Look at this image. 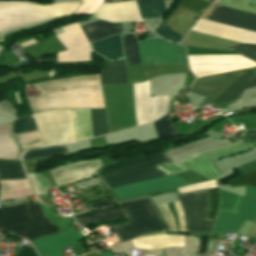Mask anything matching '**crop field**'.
<instances>
[{
  "instance_id": "6",
  "label": "crop field",
  "mask_w": 256,
  "mask_h": 256,
  "mask_svg": "<svg viewBox=\"0 0 256 256\" xmlns=\"http://www.w3.org/2000/svg\"><path fill=\"white\" fill-rule=\"evenodd\" d=\"M79 4L34 5L23 2H0V33L38 20L71 14Z\"/></svg>"
},
{
  "instance_id": "34",
  "label": "crop field",
  "mask_w": 256,
  "mask_h": 256,
  "mask_svg": "<svg viewBox=\"0 0 256 256\" xmlns=\"http://www.w3.org/2000/svg\"><path fill=\"white\" fill-rule=\"evenodd\" d=\"M115 203H117V201L115 199H110L105 202H100V203H95V204L89 205V207L90 208H99V207L114 205Z\"/></svg>"
},
{
  "instance_id": "20",
  "label": "crop field",
  "mask_w": 256,
  "mask_h": 256,
  "mask_svg": "<svg viewBox=\"0 0 256 256\" xmlns=\"http://www.w3.org/2000/svg\"><path fill=\"white\" fill-rule=\"evenodd\" d=\"M141 18L160 17L165 11L164 1L137 2Z\"/></svg>"
},
{
  "instance_id": "18",
  "label": "crop field",
  "mask_w": 256,
  "mask_h": 256,
  "mask_svg": "<svg viewBox=\"0 0 256 256\" xmlns=\"http://www.w3.org/2000/svg\"><path fill=\"white\" fill-rule=\"evenodd\" d=\"M255 86H256V76L253 70L251 69L247 73L243 74L239 80L233 83L225 91V93L221 97H219L216 101L239 98L240 94L244 89L255 87Z\"/></svg>"
},
{
  "instance_id": "35",
  "label": "crop field",
  "mask_w": 256,
  "mask_h": 256,
  "mask_svg": "<svg viewBox=\"0 0 256 256\" xmlns=\"http://www.w3.org/2000/svg\"><path fill=\"white\" fill-rule=\"evenodd\" d=\"M245 197L256 201V188H246Z\"/></svg>"
},
{
  "instance_id": "15",
  "label": "crop field",
  "mask_w": 256,
  "mask_h": 256,
  "mask_svg": "<svg viewBox=\"0 0 256 256\" xmlns=\"http://www.w3.org/2000/svg\"><path fill=\"white\" fill-rule=\"evenodd\" d=\"M81 28L89 42L106 36L123 33L121 24H111L102 20L82 26Z\"/></svg>"
},
{
  "instance_id": "33",
  "label": "crop field",
  "mask_w": 256,
  "mask_h": 256,
  "mask_svg": "<svg viewBox=\"0 0 256 256\" xmlns=\"http://www.w3.org/2000/svg\"><path fill=\"white\" fill-rule=\"evenodd\" d=\"M244 139L256 144V130H249L243 136Z\"/></svg>"
},
{
  "instance_id": "38",
  "label": "crop field",
  "mask_w": 256,
  "mask_h": 256,
  "mask_svg": "<svg viewBox=\"0 0 256 256\" xmlns=\"http://www.w3.org/2000/svg\"><path fill=\"white\" fill-rule=\"evenodd\" d=\"M137 1H143V0H137Z\"/></svg>"
},
{
  "instance_id": "27",
  "label": "crop field",
  "mask_w": 256,
  "mask_h": 256,
  "mask_svg": "<svg viewBox=\"0 0 256 256\" xmlns=\"http://www.w3.org/2000/svg\"><path fill=\"white\" fill-rule=\"evenodd\" d=\"M156 33H158L160 36L174 41L179 42L182 39V35L174 32L172 29H170L166 24L165 21H162L161 24L156 28Z\"/></svg>"
},
{
  "instance_id": "21",
  "label": "crop field",
  "mask_w": 256,
  "mask_h": 256,
  "mask_svg": "<svg viewBox=\"0 0 256 256\" xmlns=\"http://www.w3.org/2000/svg\"><path fill=\"white\" fill-rule=\"evenodd\" d=\"M26 178L21 164L0 162V180Z\"/></svg>"
},
{
  "instance_id": "13",
  "label": "crop field",
  "mask_w": 256,
  "mask_h": 256,
  "mask_svg": "<svg viewBox=\"0 0 256 256\" xmlns=\"http://www.w3.org/2000/svg\"><path fill=\"white\" fill-rule=\"evenodd\" d=\"M237 78L229 73L202 77L197 79L195 84L193 83L190 91L203 96L221 93Z\"/></svg>"
},
{
  "instance_id": "3",
  "label": "crop field",
  "mask_w": 256,
  "mask_h": 256,
  "mask_svg": "<svg viewBox=\"0 0 256 256\" xmlns=\"http://www.w3.org/2000/svg\"><path fill=\"white\" fill-rule=\"evenodd\" d=\"M121 208L96 211L76 216L83 226L126 216L129 224L113 226L121 242L158 231H166L159 213L148 197L122 202Z\"/></svg>"
},
{
  "instance_id": "26",
  "label": "crop field",
  "mask_w": 256,
  "mask_h": 256,
  "mask_svg": "<svg viewBox=\"0 0 256 256\" xmlns=\"http://www.w3.org/2000/svg\"><path fill=\"white\" fill-rule=\"evenodd\" d=\"M37 130L31 116L14 121L13 134Z\"/></svg>"
},
{
  "instance_id": "36",
  "label": "crop field",
  "mask_w": 256,
  "mask_h": 256,
  "mask_svg": "<svg viewBox=\"0 0 256 256\" xmlns=\"http://www.w3.org/2000/svg\"><path fill=\"white\" fill-rule=\"evenodd\" d=\"M246 236H250V237L256 238V223L247 232Z\"/></svg>"
},
{
  "instance_id": "32",
  "label": "crop field",
  "mask_w": 256,
  "mask_h": 256,
  "mask_svg": "<svg viewBox=\"0 0 256 256\" xmlns=\"http://www.w3.org/2000/svg\"><path fill=\"white\" fill-rule=\"evenodd\" d=\"M29 177H30V180H31V183H32L33 188H34V189L37 188V191H38L39 195L44 194V193H43V190H42L40 184L38 183L37 179L35 178L34 174H29ZM34 191H35L36 194L38 195L36 189H35Z\"/></svg>"
},
{
  "instance_id": "25",
  "label": "crop field",
  "mask_w": 256,
  "mask_h": 256,
  "mask_svg": "<svg viewBox=\"0 0 256 256\" xmlns=\"http://www.w3.org/2000/svg\"><path fill=\"white\" fill-rule=\"evenodd\" d=\"M155 128L159 139L176 136V132L170 124L167 116L162 117L158 121L154 122Z\"/></svg>"
},
{
  "instance_id": "16",
  "label": "crop field",
  "mask_w": 256,
  "mask_h": 256,
  "mask_svg": "<svg viewBox=\"0 0 256 256\" xmlns=\"http://www.w3.org/2000/svg\"><path fill=\"white\" fill-rule=\"evenodd\" d=\"M198 14L177 7L167 18V25L180 34H184L195 22Z\"/></svg>"
},
{
  "instance_id": "7",
  "label": "crop field",
  "mask_w": 256,
  "mask_h": 256,
  "mask_svg": "<svg viewBox=\"0 0 256 256\" xmlns=\"http://www.w3.org/2000/svg\"><path fill=\"white\" fill-rule=\"evenodd\" d=\"M185 217V232L207 233L212 220L206 219L208 210L207 190L190 194H176Z\"/></svg>"
},
{
  "instance_id": "14",
  "label": "crop field",
  "mask_w": 256,
  "mask_h": 256,
  "mask_svg": "<svg viewBox=\"0 0 256 256\" xmlns=\"http://www.w3.org/2000/svg\"><path fill=\"white\" fill-rule=\"evenodd\" d=\"M12 124L0 125V159L20 160V149L12 135Z\"/></svg>"
},
{
  "instance_id": "12",
  "label": "crop field",
  "mask_w": 256,
  "mask_h": 256,
  "mask_svg": "<svg viewBox=\"0 0 256 256\" xmlns=\"http://www.w3.org/2000/svg\"><path fill=\"white\" fill-rule=\"evenodd\" d=\"M135 5L134 1L101 5L94 17L111 22L138 21Z\"/></svg>"
},
{
  "instance_id": "9",
  "label": "crop field",
  "mask_w": 256,
  "mask_h": 256,
  "mask_svg": "<svg viewBox=\"0 0 256 256\" xmlns=\"http://www.w3.org/2000/svg\"><path fill=\"white\" fill-rule=\"evenodd\" d=\"M247 219L256 222V202L241 196L234 214L218 212L212 233H237Z\"/></svg>"
},
{
  "instance_id": "8",
  "label": "crop field",
  "mask_w": 256,
  "mask_h": 256,
  "mask_svg": "<svg viewBox=\"0 0 256 256\" xmlns=\"http://www.w3.org/2000/svg\"><path fill=\"white\" fill-rule=\"evenodd\" d=\"M189 184L185 179L173 174L166 177L140 182L128 186L111 189L115 197L119 200H128L157 191L176 188Z\"/></svg>"
},
{
  "instance_id": "29",
  "label": "crop field",
  "mask_w": 256,
  "mask_h": 256,
  "mask_svg": "<svg viewBox=\"0 0 256 256\" xmlns=\"http://www.w3.org/2000/svg\"><path fill=\"white\" fill-rule=\"evenodd\" d=\"M208 5L209 3L201 0H182L179 4V6L189 9L198 14H200Z\"/></svg>"
},
{
  "instance_id": "37",
  "label": "crop field",
  "mask_w": 256,
  "mask_h": 256,
  "mask_svg": "<svg viewBox=\"0 0 256 256\" xmlns=\"http://www.w3.org/2000/svg\"><path fill=\"white\" fill-rule=\"evenodd\" d=\"M118 1H128V0H105V1L103 2V4H104V3H109V2H118Z\"/></svg>"
},
{
  "instance_id": "2",
  "label": "crop field",
  "mask_w": 256,
  "mask_h": 256,
  "mask_svg": "<svg viewBox=\"0 0 256 256\" xmlns=\"http://www.w3.org/2000/svg\"><path fill=\"white\" fill-rule=\"evenodd\" d=\"M126 64L186 63L184 50L180 46L167 44L159 39L138 42L133 34H122ZM93 50L109 60L124 57L119 35L93 43Z\"/></svg>"
},
{
  "instance_id": "1",
  "label": "crop field",
  "mask_w": 256,
  "mask_h": 256,
  "mask_svg": "<svg viewBox=\"0 0 256 256\" xmlns=\"http://www.w3.org/2000/svg\"><path fill=\"white\" fill-rule=\"evenodd\" d=\"M42 95L28 97L34 113L55 109L104 108L99 75L33 85Z\"/></svg>"
},
{
  "instance_id": "19",
  "label": "crop field",
  "mask_w": 256,
  "mask_h": 256,
  "mask_svg": "<svg viewBox=\"0 0 256 256\" xmlns=\"http://www.w3.org/2000/svg\"><path fill=\"white\" fill-rule=\"evenodd\" d=\"M235 169H237L241 175L244 173H247L251 170L256 169V160L249 162L247 164H244L242 166H239ZM246 185H256V170L251 171L247 174H244L240 176V178L238 179H232L230 187L246 186Z\"/></svg>"
},
{
  "instance_id": "31",
  "label": "crop field",
  "mask_w": 256,
  "mask_h": 256,
  "mask_svg": "<svg viewBox=\"0 0 256 256\" xmlns=\"http://www.w3.org/2000/svg\"><path fill=\"white\" fill-rule=\"evenodd\" d=\"M16 256H37L33 247H25L18 250Z\"/></svg>"
},
{
  "instance_id": "22",
  "label": "crop field",
  "mask_w": 256,
  "mask_h": 256,
  "mask_svg": "<svg viewBox=\"0 0 256 256\" xmlns=\"http://www.w3.org/2000/svg\"><path fill=\"white\" fill-rule=\"evenodd\" d=\"M67 155L64 147L53 149H41L26 151L22 155L23 160L37 159V158H55L57 156Z\"/></svg>"
},
{
  "instance_id": "17",
  "label": "crop field",
  "mask_w": 256,
  "mask_h": 256,
  "mask_svg": "<svg viewBox=\"0 0 256 256\" xmlns=\"http://www.w3.org/2000/svg\"><path fill=\"white\" fill-rule=\"evenodd\" d=\"M104 71L101 74L102 84L127 83L124 59L116 62L104 63Z\"/></svg>"
},
{
  "instance_id": "10",
  "label": "crop field",
  "mask_w": 256,
  "mask_h": 256,
  "mask_svg": "<svg viewBox=\"0 0 256 256\" xmlns=\"http://www.w3.org/2000/svg\"><path fill=\"white\" fill-rule=\"evenodd\" d=\"M205 20L256 32V15L219 5L211 11Z\"/></svg>"
},
{
  "instance_id": "11",
  "label": "crop field",
  "mask_w": 256,
  "mask_h": 256,
  "mask_svg": "<svg viewBox=\"0 0 256 256\" xmlns=\"http://www.w3.org/2000/svg\"><path fill=\"white\" fill-rule=\"evenodd\" d=\"M78 231L72 227L66 231L53 236L32 241L41 256H62L60 249L84 238Z\"/></svg>"
},
{
  "instance_id": "4",
  "label": "crop field",
  "mask_w": 256,
  "mask_h": 256,
  "mask_svg": "<svg viewBox=\"0 0 256 256\" xmlns=\"http://www.w3.org/2000/svg\"><path fill=\"white\" fill-rule=\"evenodd\" d=\"M176 165L165 154L105 165L96 173L107 188H114L168 175L160 170Z\"/></svg>"
},
{
  "instance_id": "5",
  "label": "crop field",
  "mask_w": 256,
  "mask_h": 256,
  "mask_svg": "<svg viewBox=\"0 0 256 256\" xmlns=\"http://www.w3.org/2000/svg\"><path fill=\"white\" fill-rule=\"evenodd\" d=\"M53 225L45 217L39 204H20L0 208V229L12 232L28 241L60 232Z\"/></svg>"
},
{
  "instance_id": "28",
  "label": "crop field",
  "mask_w": 256,
  "mask_h": 256,
  "mask_svg": "<svg viewBox=\"0 0 256 256\" xmlns=\"http://www.w3.org/2000/svg\"><path fill=\"white\" fill-rule=\"evenodd\" d=\"M240 53L254 61H256V45L255 44H239L235 47L226 49Z\"/></svg>"
},
{
  "instance_id": "23",
  "label": "crop field",
  "mask_w": 256,
  "mask_h": 256,
  "mask_svg": "<svg viewBox=\"0 0 256 256\" xmlns=\"http://www.w3.org/2000/svg\"><path fill=\"white\" fill-rule=\"evenodd\" d=\"M93 137L106 134L104 109L90 110Z\"/></svg>"
},
{
  "instance_id": "24",
  "label": "crop field",
  "mask_w": 256,
  "mask_h": 256,
  "mask_svg": "<svg viewBox=\"0 0 256 256\" xmlns=\"http://www.w3.org/2000/svg\"><path fill=\"white\" fill-rule=\"evenodd\" d=\"M15 137L18 140L22 151L31 147L42 146L37 131L23 133V134H16Z\"/></svg>"
},
{
  "instance_id": "30",
  "label": "crop field",
  "mask_w": 256,
  "mask_h": 256,
  "mask_svg": "<svg viewBox=\"0 0 256 256\" xmlns=\"http://www.w3.org/2000/svg\"><path fill=\"white\" fill-rule=\"evenodd\" d=\"M209 193V210L207 218L212 219L217 206V189L208 190Z\"/></svg>"
}]
</instances>
